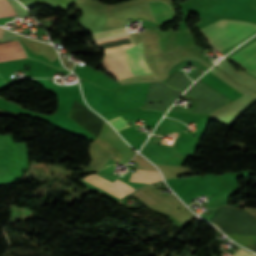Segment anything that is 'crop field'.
<instances>
[{
	"instance_id": "crop-field-1",
	"label": "crop field",
	"mask_w": 256,
	"mask_h": 256,
	"mask_svg": "<svg viewBox=\"0 0 256 256\" xmlns=\"http://www.w3.org/2000/svg\"><path fill=\"white\" fill-rule=\"evenodd\" d=\"M212 46L222 51L256 32V25L239 21L220 20L200 29Z\"/></svg>"
},
{
	"instance_id": "crop-field-2",
	"label": "crop field",
	"mask_w": 256,
	"mask_h": 256,
	"mask_svg": "<svg viewBox=\"0 0 256 256\" xmlns=\"http://www.w3.org/2000/svg\"><path fill=\"white\" fill-rule=\"evenodd\" d=\"M103 69L107 70L116 80L134 76L128 65L126 50L105 53L103 56Z\"/></svg>"
},
{
	"instance_id": "crop-field-3",
	"label": "crop field",
	"mask_w": 256,
	"mask_h": 256,
	"mask_svg": "<svg viewBox=\"0 0 256 256\" xmlns=\"http://www.w3.org/2000/svg\"><path fill=\"white\" fill-rule=\"evenodd\" d=\"M150 83L127 84L118 86L112 100L117 103H145V96Z\"/></svg>"
},
{
	"instance_id": "crop-field-4",
	"label": "crop field",
	"mask_w": 256,
	"mask_h": 256,
	"mask_svg": "<svg viewBox=\"0 0 256 256\" xmlns=\"http://www.w3.org/2000/svg\"><path fill=\"white\" fill-rule=\"evenodd\" d=\"M246 71L256 75V42L228 57Z\"/></svg>"
},
{
	"instance_id": "crop-field-5",
	"label": "crop field",
	"mask_w": 256,
	"mask_h": 256,
	"mask_svg": "<svg viewBox=\"0 0 256 256\" xmlns=\"http://www.w3.org/2000/svg\"><path fill=\"white\" fill-rule=\"evenodd\" d=\"M149 4L158 23H165L173 19V10L166 2L156 1L149 2Z\"/></svg>"
},
{
	"instance_id": "crop-field-6",
	"label": "crop field",
	"mask_w": 256,
	"mask_h": 256,
	"mask_svg": "<svg viewBox=\"0 0 256 256\" xmlns=\"http://www.w3.org/2000/svg\"><path fill=\"white\" fill-rule=\"evenodd\" d=\"M162 180L159 172L137 170L132 174L130 181L153 183Z\"/></svg>"
},
{
	"instance_id": "crop-field-7",
	"label": "crop field",
	"mask_w": 256,
	"mask_h": 256,
	"mask_svg": "<svg viewBox=\"0 0 256 256\" xmlns=\"http://www.w3.org/2000/svg\"><path fill=\"white\" fill-rule=\"evenodd\" d=\"M92 177L96 178L97 180L109 185L110 187L122 192L123 194L127 195L129 193H131L132 191H134L135 189L131 188L130 186L126 185L125 183H123L122 181L120 180H116L114 183L106 180V179H103L97 175H91Z\"/></svg>"
},
{
	"instance_id": "crop-field-8",
	"label": "crop field",
	"mask_w": 256,
	"mask_h": 256,
	"mask_svg": "<svg viewBox=\"0 0 256 256\" xmlns=\"http://www.w3.org/2000/svg\"><path fill=\"white\" fill-rule=\"evenodd\" d=\"M15 14L6 0H0V17L14 16Z\"/></svg>"
},
{
	"instance_id": "crop-field-9",
	"label": "crop field",
	"mask_w": 256,
	"mask_h": 256,
	"mask_svg": "<svg viewBox=\"0 0 256 256\" xmlns=\"http://www.w3.org/2000/svg\"><path fill=\"white\" fill-rule=\"evenodd\" d=\"M109 122L116 128L117 131L129 127V125L125 122V120L121 116L115 119L109 120Z\"/></svg>"
},
{
	"instance_id": "crop-field-10",
	"label": "crop field",
	"mask_w": 256,
	"mask_h": 256,
	"mask_svg": "<svg viewBox=\"0 0 256 256\" xmlns=\"http://www.w3.org/2000/svg\"><path fill=\"white\" fill-rule=\"evenodd\" d=\"M23 209L18 208L17 214H22ZM23 214H31L30 211L24 209ZM32 217V215H16V220Z\"/></svg>"
},
{
	"instance_id": "crop-field-11",
	"label": "crop field",
	"mask_w": 256,
	"mask_h": 256,
	"mask_svg": "<svg viewBox=\"0 0 256 256\" xmlns=\"http://www.w3.org/2000/svg\"><path fill=\"white\" fill-rule=\"evenodd\" d=\"M234 256H252V254L242 250V249H239Z\"/></svg>"
},
{
	"instance_id": "crop-field-12",
	"label": "crop field",
	"mask_w": 256,
	"mask_h": 256,
	"mask_svg": "<svg viewBox=\"0 0 256 256\" xmlns=\"http://www.w3.org/2000/svg\"><path fill=\"white\" fill-rule=\"evenodd\" d=\"M9 84V82L0 75V88Z\"/></svg>"
},
{
	"instance_id": "crop-field-13",
	"label": "crop field",
	"mask_w": 256,
	"mask_h": 256,
	"mask_svg": "<svg viewBox=\"0 0 256 256\" xmlns=\"http://www.w3.org/2000/svg\"><path fill=\"white\" fill-rule=\"evenodd\" d=\"M2 31H3V29L0 28V38H1V36H2Z\"/></svg>"
},
{
	"instance_id": "crop-field-14",
	"label": "crop field",
	"mask_w": 256,
	"mask_h": 256,
	"mask_svg": "<svg viewBox=\"0 0 256 256\" xmlns=\"http://www.w3.org/2000/svg\"><path fill=\"white\" fill-rule=\"evenodd\" d=\"M254 256H256V254H254Z\"/></svg>"
}]
</instances>
